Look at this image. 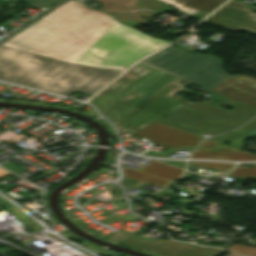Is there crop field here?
Masks as SVG:
<instances>
[{
    "label": "crop field",
    "mask_w": 256,
    "mask_h": 256,
    "mask_svg": "<svg viewBox=\"0 0 256 256\" xmlns=\"http://www.w3.org/2000/svg\"><path fill=\"white\" fill-rule=\"evenodd\" d=\"M168 43L68 0L0 45V80L66 97L93 95L117 70Z\"/></svg>",
    "instance_id": "obj_1"
},
{
    "label": "crop field",
    "mask_w": 256,
    "mask_h": 256,
    "mask_svg": "<svg viewBox=\"0 0 256 256\" xmlns=\"http://www.w3.org/2000/svg\"><path fill=\"white\" fill-rule=\"evenodd\" d=\"M177 79L170 73L137 63L89 103L117 127L119 135L126 131L133 134L188 105L175 95L180 90L200 95L184 89L188 83L174 84Z\"/></svg>",
    "instance_id": "obj_2"
},
{
    "label": "crop field",
    "mask_w": 256,
    "mask_h": 256,
    "mask_svg": "<svg viewBox=\"0 0 256 256\" xmlns=\"http://www.w3.org/2000/svg\"><path fill=\"white\" fill-rule=\"evenodd\" d=\"M141 62L173 72L190 83L203 87L201 91L204 92L233 77L222 71V60L212 55H189L172 46Z\"/></svg>",
    "instance_id": "obj_3"
},
{
    "label": "crop field",
    "mask_w": 256,
    "mask_h": 256,
    "mask_svg": "<svg viewBox=\"0 0 256 256\" xmlns=\"http://www.w3.org/2000/svg\"><path fill=\"white\" fill-rule=\"evenodd\" d=\"M219 105L228 107L221 103ZM251 118L253 116L236 109L226 111L207 103L195 102L157 121V123L195 135L201 131L215 135L235 129Z\"/></svg>",
    "instance_id": "obj_4"
},
{
    "label": "crop field",
    "mask_w": 256,
    "mask_h": 256,
    "mask_svg": "<svg viewBox=\"0 0 256 256\" xmlns=\"http://www.w3.org/2000/svg\"><path fill=\"white\" fill-rule=\"evenodd\" d=\"M121 244L159 256H216L223 251L168 240L146 241L138 238H128Z\"/></svg>",
    "instance_id": "obj_5"
},
{
    "label": "crop field",
    "mask_w": 256,
    "mask_h": 256,
    "mask_svg": "<svg viewBox=\"0 0 256 256\" xmlns=\"http://www.w3.org/2000/svg\"><path fill=\"white\" fill-rule=\"evenodd\" d=\"M205 22L233 31L243 28L256 33V15L247 9L245 3L238 0L230 1Z\"/></svg>",
    "instance_id": "obj_6"
},
{
    "label": "crop field",
    "mask_w": 256,
    "mask_h": 256,
    "mask_svg": "<svg viewBox=\"0 0 256 256\" xmlns=\"http://www.w3.org/2000/svg\"><path fill=\"white\" fill-rule=\"evenodd\" d=\"M134 135L151 139L153 140L151 143L168 147L170 149H178L184 146L196 147L197 144L203 140L201 137L157 123L135 133Z\"/></svg>",
    "instance_id": "obj_7"
},
{
    "label": "crop field",
    "mask_w": 256,
    "mask_h": 256,
    "mask_svg": "<svg viewBox=\"0 0 256 256\" xmlns=\"http://www.w3.org/2000/svg\"><path fill=\"white\" fill-rule=\"evenodd\" d=\"M211 91L256 107V79L246 75H236Z\"/></svg>",
    "instance_id": "obj_8"
},
{
    "label": "crop field",
    "mask_w": 256,
    "mask_h": 256,
    "mask_svg": "<svg viewBox=\"0 0 256 256\" xmlns=\"http://www.w3.org/2000/svg\"><path fill=\"white\" fill-rule=\"evenodd\" d=\"M197 19H202L225 0H159ZM201 15L200 17L196 16Z\"/></svg>",
    "instance_id": "obj_9"
},
{
    "label": "crop field",
    "mask_w": 256,
    "mask_h": 256,
    "mask_svg": "<svg viewBox=\"0 0 256 256\" xmlns=\"http://www.w3.org/2000/svg\"><path fill=\"white\" fill-rule=\"evenodd\" d=\"M190 158L228 160V161L256 160L255 155L245 153L224 145L217 147L211 152L202 150V149H197L191 155Z\"/></svg>",
    "instance_id": "obj_10"
},
{
    "label": "crop field",
    "mask_w": 256,
    "mask_h": 256,
    "mask_svg": "<svg viewBox=\"0 0 256 256\" xmlns=\"http://www.w3.org/2000/svg\"><path fill=\"white\" fill-rule=\"evenodd\" d=\"M139 171L149 173V174H152L161 178H165L171 181L179 178L183 172L182 170H179L170 166H166L154 161L150 162Z\"/></svg>",
    "instance_id": "obj_11"
},
{
    "label": "crop field",
    "mask_w": 256,
    "mask_h": 256,
    "mask_svg": "<svg viewBox=\"0 0 256 256\" xmlns=\"http://www.w3.org/2000/svg\"><path fill=\"white\" fill-rule=\"evenodd\" d=\"M123 173L125 176L140 180L142 182L157 186V187H164L167 184H169L171 181L165 180V179H161L149 174H145L139 171H136L134 169L128 168L126 166H123Z\"/></svg>",
    "instance_id": "obj_12"
},
{
    "label": "crop field",
    "mask_w": 256,
    "mask_h": 256,
    "mask_svg": "<svg viewBox=\"0 0 256 256\" xmlns=\"http://www.w3.org/2000/svg\"><path fill=\"white\" fill-rule=\"evenodd\" d=\"M254 129H256V118L252 122H250V123L246 124L245 126H243L242 128H240L239 130H236L232 133H226L224 135L216 136V137L211 138L209 140H213V141H217V142L222 143L226 140H229V139H232L234 137L240 136V135H242V134H244V133H246L250 130H254Z\"/></svg>",
    "instance_id": "obj_13"
},
{
    "label": "crop field",
    "mask_w": 256,
    "mask_h": 256,
    "mask_svg": "<svg viewBox=\"0 0 256 256\" xmlns=\"http://www.w3.org/2000/svg\"><path fill=\"white\" fill-rule=\"evenodd\" d=\"M220 98L225 99L224 101L221 102V103H223V104H226V105H228V106H231V107H233V108H236V109H238V110H241V111H243V112H246V113L251 114V115H253V116L256 115V109L253 108V107L244 105V104H242V103L236 102V101H234V100L228 99V98L223 97V96H221Z\"/></svg>",
    "instance_id": "obj_14"
},
{
    "label": "crop field",
    "mask_w": 256,
    "mask_h": 256,
    "mask_svg": "<svg viewBox=\"0 0 256 256\" xmlns=\"http://www.w3.org/2000/svg\"><path fill=\"white\" fill-rule=\"evenodd\" d=\"M253 165L254 167L252 169L238 167L228 175L256 179V164Z\"/></svg>",
    "instance_id": "obj_15"
},
{
    "label": "crop field",
    "mask_w": 256,
    "mask_h": 256,
    "mask_svg": "<svg viewBox=\"0 0 256 256\" xmlns=\"http://www.w3.org/2000/svg\"><path fill=\"white\" fill-rule=\"evenodd\" d=\"M188 164L216 168V169L224 170L226 172H228L230 169H232L234 167V165H232V164L211 163V162H191Z\"/></svg>",
    "instance_id": "obj_16"
},
{
    "label": "crop field",
    "mask_w": 256,
    "mask_h": 256,
    "mask_svg": "<svg viewBox=\"0 0 256 256\" xmlns=\"http://www.w3.org/2000/svg\"><path fill=\"white\" fill-rule=\"evenodd\" d=\"M228 249L243 256H256V248L234 245Z\"/></svg>",
    "instance_id": "obj_17"
},
{
    "label": "crop field",
    "mask_w": 256,
    "mask_h": 256,
    "mask_svg": "<svg viewBox=\"0 0 256 256\" xmlns=\"http://www.w3.org/2000/svg\"><path fill=\"white\" fill-rule=\"evenodd\" d=\"M58 0H31L30 6L36 7V8H41L45 5H52Z\"/></svg>",
    "instance_id": "obj_18"
},
{
    "label": "crop field",
    "mask_w": 256,
    "mask_h": 256,
    "mask_svg": "<svg viewBox=\"0 0 256 256\" xmlns=\"http://www.w3.org/2000/svg\"><path fill=\"white\" fill-rule=\"evenodd\" d=\"M245 139H246V137L240 136V137H237L236 139L229 140L230 146L241 150Z\"/></svg>",
    "instance_id": "obj_19"
},
{
    "label": "crop field",
    "mask_w": 256,
    "mask_h": 256,
    "mask_svg": "<svg viewBox=\"0 0 256 256\" xmlns=\"http://www.w3.org/2000/svg\"><path fill=\"white\" fill-rule=\"evenodd\" d=\"M219 143L217 142H213V141H205L203 143L200 144V148H203V149H207V150H211L213 149L215 146H217Z\"/></svg>",
    "instance_id": "obj_20"
},
{
    "label": "crop field",
    "mask_w": 256,
    "mask_h": 256,
    "mask_svg": "<svg viewBox=\"0 0 256 256\" xmlns=\"http://www.w3.org/2000/svg\"><path fill=\"white\" fill-rule=\"evenodd\" d=\"M172 185V184H171ZM171 185H169L167 188H165L163 191H161V192H164V193H167V194H173V195H175L174 193H173V191L172 190H170L169 188L171 187ZM176 196V195H175Z\"/></svg>",
    "instance_id": "obj_21"
},
{
    "label": "crop field",
    "mask_w": 256,
    "mask_h": 256,
    "mask_svg": "<svg viewBox=\"0 0 256 256\" xmlns=\"http://www.w3.org/2000/svg\"><path fill=\"white\" fill-rule=\"evenodd\" d=\"M243 136H246V137H255V136H256V130L251 131V132H249V133H247V134H244Z\"/></svg>",
    "instance_id": "obj_22"
},
{
    "label": "crop field",
    "mask_w": 256,
    "mask_h": 256,
    "mask_svg": "<svg viewBox=\"0 0 256 256\" xmlns=\"http://www.w3.org/2000/svg\"><path fill=\"white\" fill-rule=\"evenodd\" d=\"M8 174H10V173L0 168V178L6 176Z\"/></svg>",
    "instance_id": "obj_23"
},
{
    "label": "crop field",
    "mask_w": 256,
    "mask_h": 256,
    "mask_svg": "<svg viewBox=\"0 0 256 256\" xmlns=\"http://www.w3.org/2000/svg\"><path fill=\"white\" fill-rule=\"evenodd\" d=\"M87 113L91 114V115H92V117H93V116H97V114H96V112L94 111V109H93V108H92V109H90Z\"/></svg>",
    "instance_id": "obj_24"
},
{
    "label": "crop field",
    "mask_w": 256,
    "mask_h": 256,
    "mask_svg": "<svg viewBox=\"0 0 256 256\" xmlns=\"http://www.w3.org/2000/svg\"><path fill=\"white\" fill-rule=\"evenodd\" d=\"M187 191H191V192H194V193H196V194H199V193H200V191H196V190H194V189H192V188L188 189Z\"/></svg>",
    "instance_id": "obj_25"
},
{
    "label": "crop field",
    "mask_w": 256,
    "mask_h": 256,
    "mask_svg": "<svg viewBox=\"0 0 256 256\" xmlns=\"http://www.w3.org/2000/svg\"><path fill=\"white\" fill-rule=\"evenodd\" d=\"M228 256H235V255L230 254V255H228Z\"/></svg>",
    "instance_id": "obj_26"
}]
</instances>
